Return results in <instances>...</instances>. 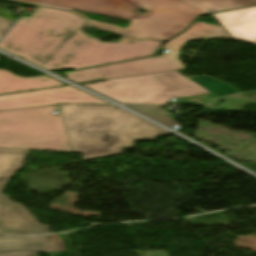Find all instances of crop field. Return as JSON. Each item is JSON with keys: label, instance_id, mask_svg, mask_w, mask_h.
<instances>
[{"label": "crop field", "instance_id": "crop-field-2", "mask_svg": "<svg viewBox=\"0 0 256 256\" xmlns=\"http://www.w3.org/2000/svg\"><path fill=\"white\" fill-rule=\"evenodd\" d=\"M66 10L131 20L124 29L88 19L86 26L108 32L166 41L186 29L200 14L256 5V0H18ZM148 10L137 13L138 8ZM78 15V14H77ZM80 15V14H79Z\"/></svg>", "mask_w": 256, "mask_h": 256}, {"label": "crop field", "instance_id": "crop-field-13", "mask_svg": "<svg viewBox=\"0 0 256 256\" xmlns=\"http://www.w3.org/2000/svg\"><path fill=\"white\" fill-rule=\"evenodd\" d=\"M5 1H10V2H15V3H19V4H24V5H29V6L36 7L35 4H29V3L18 2V1H12V0H5ZM13 14H14L13 12H10V11H7V10H4V9H1V8H0V16H2V17H4V18H7V19H10V20L15 21L17 18L12 17Z\"/></svg>", "mask_w": 256, "mask_h": 256}, {"label": "crop field", "instance_id": "crop-field-1", "mask_svg": "<svg viewBox=\"0 0 256 256\" xmlns=\"http://www.w3.org/2000/svg\"><path fill=\"white\" fill-rule=\"evenodd\" d=\"M86 22L74 12L37 5L1 40L0 49L53 71L152 56L163 43L126 36L101 42L80 30Z\"/></svg>", "mask_w": 256, "mask_h": 256}, {"label": "crop field", "instance_id": "crop-field-14", "mask_svg": "<svg viewBox=\"0 0 256 256\" xmlns=\"http://www.w3.org/2000/svg\"><path fill=\"white\" fill-rule=\"evenodd\" d=\"M12 24L13 21L0 17V38L5 34Z\"/></svg>", "mask_w": 256, "mask_h": 256}, {"label": "crop field", "instance_id": "crop-field-9", "mask_svg": "<svg viewBox=\"0 0 256 256\" xmlns=\"http://www.w3.org/2000/svg\"><path fill=\"white\" fill-rule=\"evenodd\" d=\"M64 250L63 241L48 236L0 239V256H35L34 252Z\"/></svg>", "mask_w": 256, "mask_h": 256}, {"label": "crop field", "instance_id": "crop-field-7", "mask_svg": "<svg viewBox=\"0 0 256 256\" xmlns=\"http://www.w3.org/2000/svg\"><path fill=\"white\" fill-rule=\"evenodd\" d=\"M29 151L0 149V192L9 177L18 170ZM48 225H40L28 210L0 193V236L48 233Z\"/></svg>", "mask_w": 256, "mask_h": 256}, {"label": "crop field", "instance_id": "crop-field-8", "mask_svg": "<svg viewBox=\"0 0 256 256\" xmlns=\"http://www.w3.org/2000/svg\"><path fill=\"white\" fill-rule=\"evenodd\" d=\"M57 103H109L72 86L0 96V110L53 105Z\"/></svg>", "mask_w": 256, "mask_h": 256}, {"label": "crop field", "instance_id": "crop-field-6", "mask_svg": "<svg viewBox=\"0 0 256 256\" xmlns=\"http://www.w3.org/2000/svg\"><path fill=\"white\" fill-rule=\"evenodd\" d=\"M205 38L231 39L222 27L196 22L190 30L166 44L163 49H170L166 55L80 70L66 73L65 76L80 83L99 78L112 79L183 69L179 59L180 47L190 40Z\"/></svg>", "mask_w": 256, "mask_h": 256}, {"label": "crop field", "instance_id": "crop-field-4", "mask_svg": "<svg viewBox=\"0 0 256 256\" xmlns=\"http://www.w3.org/2000/svg\"><path fill=\"white\" fill-rule=\"evenodd\" d=\"M83 86L121 104H166L174 97L204 104L218 98L177 71L112 79Z\"/></svg>", "mask_w": 256, "mask_h": 256}, {"label": "crop field", "instance_id": "crop-field-5", "mask_svg": "<svg viewBox=\"0 0 256 256\" xmlns=\"http://www.w3.org/2000/svg\"><path fill=\"white\" fill-rule=\"evenodd\" d=\"M57 105L0 111V148L73 152Z\"/></svg>", "mask_w": 256, "mask_h": 256}, {"label": "crop field", "instance_id": "crop-field-3", "mask_svg": "<svg viewBox=\"0 0 256 256\" xmlns=\"http://www.w3.org/2000/svg\"><path fill=\"white\" fill-rule=\"evenodd\" d=\"M63 123L73 151L83 160L123 153L132 138L154 139L169 133L117 106L61 104Z\"/></svg>", "mask_w": 256, "mask_h": 256}, {"label": "crop field", "instance_id": "crop-field-12", "mask_svg": "<svg viewBox=\"0 0 256 256\" xmlns=\"http://www.w3.org/2000/svg\"><path fill=\"white\" fill-rule=\"evenodd\" d=\"M133 110H136L142 114H145L169 127L177 125L173 118L168 117L166 110L162 109L163 106H127Z\"/></svg>", "mask_w": 256, "mask_h": 256}, {"label": "crop field", "instance_id": "crop-field-11", "mask_svg": "<svg viewBox=\"0 0 256 256\" xmlns=\"http://www.w3.org/2000/svg\"><path fill=\"white\" fill-rule=\"evenodd\" d=\"M67 85L45 75L35 78L16 76L0 69V95Z\"/></svg>", "mask_w": 256, "mask_h": 256}, {"label": "crop field", "instance_id": "crop-field-10", "mask_svg": "<svg viewBox=\"0 0 256 256\" xmlns=\"http://www.w3.org/2000/svg\"><path fill=\"white\" fill-rule=\"evenodd\" d=\"M213 16L233 38L256 44V7L214 14Z\"/></svg>", "mask_w": 256, "mask_h": 256}]
</instances>
